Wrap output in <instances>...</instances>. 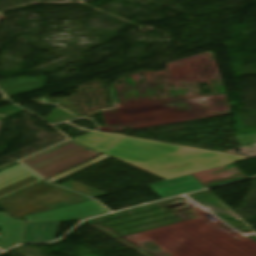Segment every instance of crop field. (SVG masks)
Segmentation results:
<instances>
[{
  "label": "crop field",
  "instance_id": "8a807250",
  "mask_svg": "<svg viewBox=\"0 0 256 256\" xmlns=\"http://www.w3.org/2000/svg\"><path fill=\"white\" fill-rule=\"evenodd\" d=\"M114 158L144 163L172 155L179 146L159 144L101 133H87L73 139Z\"/></svg>",
  "mask_w": 256,
  "mask_h": 256
},
{
  "label": "crop field",
  "instance_id": "ac0d7876",
  "mask_svg": "<svg viewBox=\"0 0 256 256\" xmlns=\"http://www.w3.org/2000/svg\"><path fill=\"white\" fill-rule=\"evenodd\" d=\"M241 159L243 158L181 147L170 157L144 164L122 161L168 180Z\"/></svg>",
  "mask_w": 256,
  "mask_h": 256
},
{
  "label": "crop field",
  "instance_id": "34b2d1b8",
  "mask_svg": "<svg viewBox=\"0 0 256 256\" xmlns=\"http://www.w3.org/2000/svg\"><path fill=\"white\" fill-rule=\"evenodd\" d=\"M74 143L76 142L72 140L67 141L59 147L55 146L29 157L22 163L47 179L100 155L96 151L85 150L86 147Z\"/></svg>",
  "mask_w": 256,
  "mask_h": 256
},
{
  "label": "crop field",
  "instance_id": "412701ff",
  "mask_svg": "<svg viewBox=\"0 0 256 256\" xmlns=\"http://www.w3.org/2000/svg\"><path fill=\"white\" fill-rule=\"evenodd\" d=\"M89 198L68 192L61 188H54L31 200H27L19 193L0 200V208L18 218L34 213L55 209L60 204H76Z\"/></svg>",
  "mask_w": 256,
  "mask_h": 256
},
{
  "label": "crop field",
  "instance_id": "f4fd0767",
  "mask_svg": "<svg viewBox=\"0 0 256 256\" xmlns=\"http://www.w3.org/2000/svg\"><path fill=\"white\" fill-rule=\"evenodd\" d=\"M108 213L95 201H85L48 212L26 216L29 222L69 221Z\"/></svg>",
  "mask_w": 256,
  "mask_h": 256
},
{
  "label": "crop field",
  "instance_id": "dd49c442",
  "mask_svg": "<svg viewBox=\"0 0 256 256\" xmlns=\"http://www.w3.org/2000/svg\"><path fill=\"white\" fill-rule=\"evenodd\" d=\"M5 213H0V249L2 251L21 243L26 228V222L15 220Z\"/></svg>",
  "mask_w": 256,
  "mask_h": 256
},
{
  "label": "crop field",
  "instance_id": "e52e79f7",
  "mask_svg": "<svg viewBox=\"0 0 256 256\" xmlns=\"http://www.w3.org/2000/svg\"><path fill=\"white\" fill-rule=\"evenodd\" d=\"M191 176L188 175L168 180L158 184L150 185V187L162 199L204 188V186H202Z\"/></svg>",
  "mask_w": 256,
  "mask_h": 256
},
{
  "label": "crop field",
  "instance_id": "d8731c3e",
  "mask_svg": "<svg viewBox=\"0 0 256 256\" xmlns=\"http://www.w3.org/2000/svg\"><path fill=\"white\" fill-rule=\"evenodd\" d=\"M0 175L18 190L42 181L21 164L1 172Z\"/></svg>",
  "mask_w": 256,
  "mask_h": 256
},
{
  "label": "crop field",
  "instance_id": "5a996713",
  "mask_svg": "<svg viewBox=\"0 0 256 256\" xmlns=\"http://www.w3.org/2000/svg\"><path fill=\"white\" fill-rule=\"evenodd\" d=\"M58 224H27L23 242H48L54 240ZM36 238L39 241H35Z\"/></svg>",
  "mask_w": 256,
  "mask_h": 256
},
{
  "label": "crop field",
  "instance_id": "3316defc",
  "mask_svg": "<svg viewBox=\"0 0 256 256\" xmlns=\"http://www.w3.org/2000/svg\"><path fill=\"white\" fill-rule=\"evenodd\" d=\"M60 186L66 187L68 189H71V190H74V191H77V192H80V193H83V194H86V195L94 197V198L101 197V196H104V195H108V194H105V193L99 192L97 190L79 185V184L71 182V181L63 183Z\"/></svg>",
  "mask_w": 256,
  "mask_h": 256
},
{
  "label": "crop field",
  "instance_id": "28ad6ade",
  "mask_svg": "<svg viewBox=\"0 0 256 256\" xmlns=\"http://www.w3.org/2000/svg\"><path fill=\"white\" fill-rule=\"evenodd\" d=\"M54 186L48 184V183H45V182H42L36 186H33L29 189H26L22 192H20V194H22L24 197H26L27 199H31L51 188H53Z\"/></svg>",
  "mask_w": 256,
  "mask_h": 256
},
{
  "label": "crop field",
  "instance_id": "d1516ede",
  "mask_svg": "<svg viewBox=\"0 0 256 256\" xmlns=\"http://www.w3.org/2000/svg\"><path fill=\"white\" fill-rule=\"evenodd\" d=\"M107 157H109V156H106V155L102 154L99 158H97V159H95V160H93V161H90V162H88V163H86V164H83V165H81V166H78V167H76V168H73V169H71V170H69V171H67V172H65V173H63V174H61V175H59V176H57V177H55V178H52V179H50V180H48V181H49V182L57 181V180H59V179L65 177V176H67V175H70V174H72V173H74V172H76V171H78V170H80V169H83V168H85V167H87V166H89V165H92V164H94V163H96V162H98V161H100V160H103V159H105V158H107ZM80 171H81V170H80Z\"/></svg>",
  "mask_w": 256,
  "mask_h": 256
},
{
  "label": "crop field",
  "instance_id": "22f410ed",
  "mask_svg": "<svg viewBox=\"0 0 256 256\" xmlns=\"http://www.w3.org/2000/svg\"><path fill=\"white\" fill-rule=\"evenodd\" d=\"M18 191L0 176V198Z\"/></svg>",
  "mask_w": 256,
  "mask_h": 256
},
{
  "label": "crop field",
  "instance_id": "cbeb9de0",
  "mask_svg": "<svg viewBox=\"0 0 256 256\" xmlns=\"http://www.w3.org/2000/svg\"><path fill=\"white\" fill-rule=\"evenodd\" d=\"M2 121H0V124H1Z\"/></svg>",
  "mask_w": 256,
  "mask_h": 256
}]
</instances>
